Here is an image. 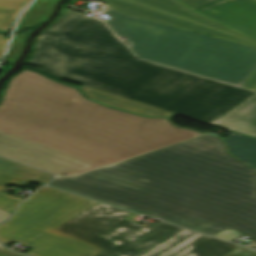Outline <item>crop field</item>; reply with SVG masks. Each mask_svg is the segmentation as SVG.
<instances>
[{
	"mask_svg": "<svg viewBox=\"0 0 256 256\" xmlns=\"http://www.w3.org/2000/svg\"><path fill=\"white\" fill-rule=\"evenodd\" d=\"M255 172L205 134L49 185L210 235L235 228L256 242Z\"/></svg>",
	"mask_w": 256,
	"mask_h": 256,
	"instance_id": "obj_1",
	"label": "crop field"
},
{
	"mask_svg": "<svg viewBox=\"0 0 256 256\" xmlns=\"http://www.w3.org/2000/svg\"><path fill=\"white\" fill-rule=\"evenodd\" d=\"M202 133L83 98L77 89L23 71L0 105V155L56 175L112 164Z\"/></svg>",
	"mask_w": 256,
	"mask_h": 256,
	"instance_id": "obj_2",
	"label": "crop field"
},
{
	"mask_svg": "<svg viewBox=\"0 0 256 256\" xmlns=\"http://www.w3.org/2000/svg\"><path fill=\"white\" fill-rule=\"evenodd\" d=\"M28 64L210 124L255 93L141 61L98 19L69 9L38 35Z\"/></svg>",
	"mask_w": 256,
	"mask_h": 256,
	"instance_id": "obj_3",
	"label": "crop field"
},
{
	"mask_svg": "<svg viewBox=\"0 0 256 256\" xmlns=\"http://www.w3.org/2000/svg\"><path fill=\"white\" fill-rule=\"evenodd\" d=\"M102 22L139 58L241 86L256 67V48L120 14L108 5Z\"/></svg>",
	"mask_w": 256,
	"mask_h": 256,
	"instance_id": "obj_4",
	"label": "crop field"
},
{
	"mask_svg": "<svg viewBox=\"0 0 256 256\" xmlns=\"http://www.w3.org/2000/svg\"><path fill=\"white\" fill-rule=\"evenodd\" d=\"M131 212L96 204L56 229L98 246L95 256H224L238 246L164 223L143 227Z\"/></svg>",
	"mask_w": 256,
	"mask_h": 256,
	"instance_id": "obj_5",
	"label": "crop field"
},
{
	"mask_svg": "<svg viewBox=\"0 0 256 256\" xmlns=\"http://www.w3.org/2000/svg\"><path fill=\"white\" fill-rule=\"evenodd\" d=\"M95 203L43 187L0 225V241L24 244L33 249L27 254L34 256H94L102 249L54 228Z\"/></svg>",
	"mask_w": 256,
	"mask_h": 256,
	"instance_id": "obj_6",
	"label": "crop field"
},
{
	"mask_svg": "<svg viewBox=\"0 0 256 256\" xmlns=\"http://www.w3.org/2000/svg\"><path fill=\"white\" fill-rule=\"evenodd\" d=\"M102 1L106 4H108L110 7L113 9L132 16L168 24L171 26L179 27L182 29L250 45V46H255V44L249 43L247 41L235 38L233 36L220 33L214 30H210L201 26H198L196 24L181 20L179 18L164 14L162 12L144 7L142 5L126 1V0H99ZM242 87L251 89L256 91V68L253 70V72L250 74V76L246 79V81L243 83Z\"/></svg>",
	"mask_w": 256,
	"mask_h": 256,
	"instance_id": "obj_7",
	"label": "crop field"
},
{
	"mask_svg": "<svg viewBox=\"0 0 256 256\" xmlns=\"http://www.w3.org/2000/svg\"><path fill=\"white\" fill-rule=\"evenodd\" d=\"M196 12L256 39V0H222Z\"/></svg>",
	"mask_w": 256,
	"mask_h": 256,
	"instance_id": "obj_8",
	"label": "crop field"
},
{
	"mask_svg": "<svg viewBox=\"0 0 256 256\" xmlns=\"http://www.w3.org/2000/svg\"><path fill=\"white\" fill-rule=\"evenodd\" d=\"M80 89L88 98L94 99L102 104L109 105L113 108L129 111L143 116H163L172 119L175 115V113L164 111L85 85L80 87Z\"/></svg>",
	"mask_w": 256,
	"mask_h": 256,
	"instance_id": "obj_9",
	"label": "crop field"
},
{
	"mask_svg": "<svg viewBox=\"0 0 256 256\" xmlns=\"http://www.w3.org/2000/svg\"><path fill=\"white\" fill-rule=\"evenodd\" d=\"M131 1L256 42V40L249 38L250 36L247 37L243 34H240L241 32L238 33L239 31L236 32L207 17H204L196 13L195 11L191 10L190 8H188L178 0H131Z\"/></svg>",
	"mask_w": 256,
	"mask_h": 256,
	"instance_id": "obj_10",
	"label": "crop field"
},
{
	"mask_svg": "<svg viewBox=\"0 0 256 256\" xmlns=\"http://www.w3.org/2000/svg\"><path fill=\"white\" fill-rule=\"evenodd\" d=\"M215 125L256 137V94L217 119Z\"/></svg>",
	"mask_w": 256,
	"mask_h": 256,
	"instance_id": "obj_11",
	"label": "crop field"
},
{
	"mask_svg": "<svg viewBox=\"0 0 256 256\" xmlns=\"http://www.w3.org/2000/svg\"><path fill=\"white\" fill-rule=\"evenodd\" d=\"M229 151L236 158L244 161L250 166H256V140L240 135L233 134L224 139Z\"/></svg>",
	"mask_w": 256,
	"mask_h": 256,
	"instance_id": "obj_12",
	"label": "crop field"
},
{
	"mask_svg": "<svg viewBox=\"0 0 256 256\" xmlns=\"http://www.w3.org/2000/svg\"><path fill=\"white\" fill-rule=\"evenodd\" d=\"M0 172L13 176L46 183L53 177L13 161L0 157Z\"/></svg>",
	"mask_w": 256,
	"mask_h": 256,
	"instance_id": "obj_13",
	"label": "crop field"
},
{
	"mask_svg": "<svg viewBox=\"0 0 256 256\" xmlns=\"http://www.w3.org/2000/svg\"><path fill=\"white\" fill-rule=\"evenodd\" d=\"M30 0H0V30L9 31L20 11Z\"/></svg>",
	"mask_w": 256,
	"mask_h": 256,
	"instance_id": "obj_14",
	"label": "crop field"
},
{
	"mask_svg": "<svg viewBox=\"0 0 256 256\" xmlns=\"http://www.w3.org/2000/svg\"><path fill=\"white\" fill-rule=\"evenodd\" d=\"M53 2L54 0H36L20 20L16 30H20L21 27L33 26L46 18Z\"/></svg>",
	"mask_w": 256,
	"mask_h": 256,
	"instance_id": "obj_15",
	"label": "crop field"
},
{
	"mask_svg": "<svg viewBox=\"0 0 256 256\" xmlns=\"http://www.w3.org/2000/svg\"><path fill=\"white\" fill-rule=\"evenodd\" d=\"M28 183V180L0 173V191L6 184L27 186ZM22 200V198L8 196L0 192V208L7 212H11V209L19 204Z\"/></svg>",
	"mask_w": 256,
	"mask_h": 256,
	"instance_id": "obj_16",
	"label": "crop field"
},
{
	"mask_svg": "<svg viewBox=\"0 0 256 256\" xmlns=\"http://www.w3.org/2000/svg\"><path fill=\"white\" fill-rule=\"evenodd\" d=\"M25 35L26 34L19 37H15V36L13 37L6 62L12 63L14 58L19 54Z\"/></svg>",
	"mask_w": 256,
	"mask_h": 256,
	"instance_id": "obj_17",
	"label": "crop field"
},
{
	"mask_svg": "<svg viewBox=\"0 0 256 256\" xmlns=\"http://www.w3.org/2000/svg\"><path fill=\"white\" fill-rule=\"evenodd\" d=\"M225 256H256V251L239 247Z\"/></svg>",
	"mask_w": 256,
	"mask_h": 256,
	"instance_id": "obj_18",
	"label": "crop field"
},
{
	"mask_svg": "<svg viewBox=\"0 0 256 256\" xmlns=\"http://www.w3.org/2000/svg\"><path fill=\"white\" fill-rule=\"evenodd\" d=\"M180 1L190 6L191 8L195 9V8L210 4L217 0H180Z\"/></svg>",
	"mask_w": 256,
	"mask_h": 256,
	"instance_id": "obj_19",
	"label": "crop field"
},
{
	"mask_svg": "<svg viewBox=\"0 0 256 256\" xmlns=\"http://www.w3.org/2000/svg\"><path fill=\"white\" fill-rule=\"evenodd\" d=\"M7 41H8L7 36L0 35V60H1L3 52L5 50V46H6Z\"/></svg>",
	"mask_w": 256,
	"mask_h": 256,
	"instance_id": "obj_20",
	"label": "crop field"
},
{
	"mask_svg": "<svg viewBox=\"0 0 256 256\" xmlns=\"http://www.w3.org/2000/svg\"><path fill=\"white\" fill-rule=\"evenodd\" d=\"M0 256H24V255L13 253L5 249L2 245H0Z\"/></svg>",
	"mask_w": 256,
	"mask_h": 256,
	"instance_id": "obj_21",
	"label": "crop field"
},
{
	"mask_svg": "<svg viewBox=\"0 0 256 256\" xmlns=\"http://www.w3.org/2000/svg\"><path fill=\"white\" fill-rule=\"evenodd\" d=\"M10 215H11L10 213H7L0 209V222L8 219L10 217Z\"/></svg>",
	"mask_w": 256,
	"mask_h": 256,
	"instance_id": "obj_22",
	"label": "crop field"
}]
</instances>
